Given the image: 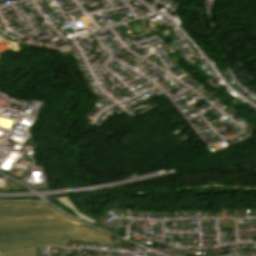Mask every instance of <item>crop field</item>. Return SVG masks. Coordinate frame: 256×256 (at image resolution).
<instances>
[{
	"instance_id": "3",
	"label": "crop field",
	"mask_w": 256,
	"mask_h": 256,
	"mask_svg": "<svg viewBox=\"0 0 256 256\" xmlns=\"http://www.w3.org/2000/svg\"><path fill=\"white\" fill-rule=\"evenodd\" d=\"M36 248L30 250L19 251L15 253L5 254L2 256H35Z\"/></svg>"
},
{
	"instance_id": "1",
	"label": "crop field",
	"mask_w": 256,
	"mask_h": 256,
	"mask_svg": "<svg viewBox=\"0 0 256 256\" xmlns=\"http://www.w3.org/2000/svg\"><path fill=\"white\" fill-rule=\"evenodd\" d=\"M67 240L112 244L111 236L79 226L46 203L0 201V254L41 245L65 247Z\"/></svg>"
},
{
	"instance_id": "2",
	"label": "crop field",
	"mask_w": 256,
	"mask_h": 256,
	"mask_svg": "<svg viewBox=\"0 0 256 256\" xmlns=\"http://www.w3.org/2000/svg\"><path fill=\"white\" fill-rule=\"evenodd\" d=\"M54 199L57 202H59L62 206L70 209L75 215H77L82 220H85L87 222L94 224L95 221H93V220L89 219L88 217L84 216L83 214L79 213L66 196L55 197Z\"/></svg>"
}]
</instances>
